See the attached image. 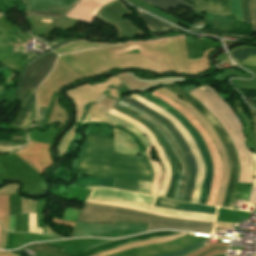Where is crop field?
<instances>
[{"label": "crop field", "mask_w": 256, "mask_h": 256, "mask_svg": "<svg viewBox=\"0 0 256 256\" xmlns=\"http://www.w3.org/2000/svg\"><path fill=\"white\" fill-rule=\"evenodd\" d=\"M80 174L116 178L114 187L150 192L153 171L147 156H130L114 153L113 140L88 135L83 153L76 163ZM107 187H91L85 202L125 207L165 216L215 221V215L171 210L153 206L157 196ZM84 203L78 221L112 222L115 220L149 223L148 230L174 228L202 233H211L213 223L177 219L139 212L130 209Z\"/></svg>", "instance_id": "1"}, {"label": "crop field", "mask_w": 256, "mask_h": 256, "mask_svg": "<svg viewBox=\"0 0 256 256\" xmlns=\"http://www.w3.org/2000/svg\"><path fill=\"white\" fill-rule=\"evenodd\" d=\"M167 89H169L173 93L177 94L178 96L182 97L183 99L188 101L190 104H192L208 120V122L216 131L217 135L222 140L231 164L230 180H229V184H228V188H227V192H226V196L223 204L224 207L229 208L232 197L235 192V187L238 179L237 156L231 142L229 141L225 131L220 126L218 121L208 112V110L200 102L195 100L193 97H191L187 93L183 92L178 86L168 87Z\"/></svg>", "instance_id": "2"}, {"label": "crop field", "mask_w": 256, "mask_h": 256, "mask_svg": "<svg viewBox=\"0 0 256 256\" xmlns=\"http://www.w3.org/2000/svg\"><path fill=\"white\" fill-rule=\"evenodd\" d=\"M148 225L116 221V224H82L76 223L72 237L97 236L120 238L145 232Z\"/></svg>", "instance_id": "3"}, {"label": "crop field", "mask_w": 256, "mask_h": 256, "mask_svg": "<svg viewBox=\"0 0 256 256\" xmlns=\"http://www.w3.org/2000/svg\"><path fill=\"white\" fill-rule=\"evenodd\" d=\"M158 91L163 93L167 97L177 101L178 103L183 105L185 108H187L197 118V120L203 125V127L208 131L209 135L214 141L222 159V180H221L215 205L222 206L228 179H229V162H228V158L226 156V152L221 140L216 135V133L214 132L210 124L207 122V120L193 106H191L189 103L185 101H182L180 98L177 97V95L173 94L172 92L168 91L165 88L158 89Z\"/></svg>", "instance_id": "4"}, {"label": "crop field", "mask_w": 256, "mask_h": 256, "mask_svg": "<svg viewBox=\"0 0 256 256\" xmlns=\"http://www.w3.org/2000/svg\"><path fill=\"white\" fill-rule=\"evenodd\" d=\"M121 100L151 114L152 116L157 118L159 121H161L173 133L174 137L178 141V143L186 157L187 168H188L187 184H186L184 198L182 201L190 202L192 194H193V190H194V181H195V177H196V173H197L196 161H195L191 151L189 150L187 144L185 143L184 139L182 138V136L179 134V132L177 131V129L175 128V126L173 124H171L168 120H166L164 117H162L155 111L149 109L148 107L144 106L143 104H141L131 98L127 99V98L123 97V98H121Z\"/></svg>", "instance_id": "5"}, {"label": "crop field", "mask_w": 256, "mask_h": 256, "mask_svg": "<svg viewBox=\"0 0 256 256\" xmlns=\"http://www.w3.org/2000/svg\"><path fill=\"white\" fill-rule=\"evenodd\" d=\"M132 98L136 99L137 101L143 103L144 105L148 106L149 108L155 110L165 118H167L170 122H172L180 134L183 136L185 139L186 143L188 144L190 150L192 151L196 161H197V169H198V174L195 182V190L193 194V198L191 202L198 203L199 197H200V192L202 188V182H203V177H204V172H205V165L203 163L201 154L192 138V136L189 134V132L186 130V128L176 119L174 118L171 114H169L166 110L160 108L159 106L149 102L148 100L136 95L132 94Z\"/></svg>", "instance_id": "6"}, {"label": "crop field", "mask_w": 256, "mask_h": 256, "mask_svg": "<svg viewBox=\"0 0 256 256\" xmlns=\"http://www.w3.org/2000/svg\"><path fill=\"white\" fill-rule=\"evenodd\" d=\"M139 95L150 100L151 102L159 105L160 107L166 109L167 111L171 112L172 114H174L176 116V118L188 129V131L193 136V138L202 154L203 160L206 164L204 183H203V188H202L201 197H200V201H199V203L205 204L207 196H208L209 188L211 185V181H212L213 165H212V160L209 156V153L204 145L202 138L200 137L198 132L190 125V123L182 115H180L176 110H174L171 106H169L167 103L157 99L156 97L152 96L149 93L139 94Z\"/></svg>", "instance_id": "7"}, {"label": "crop field", "mask_w": 256, "mask_h": 256, "mask_svg": "<svg viewBox=\"0 0 256 256\" xmlns=\"http://www.w3.org/2000/svg\"><path fill=\"white\" fill-rule=\"evenodd\" d=\"M126 13H132L129 11L126 6L119 0L111 3L110 5L100 9L97 14V17L101 18L105 22L114 25L118 29V37H125L129 35L142 34L144 31L134 24L131 23L128 19H121L120 15Z\"/></svg>", "instance_id": "8"}, {"label": "crop field", "mask_w": 256, "mask_h": 256, "mask_svg": "<svg viewBox=\"0 0 256 256\" xmlns=\"http://www.w3.org/2000/svg\"><path fill=\"white\" fill-rule=\"evenodd\" d=\"M175 233H178V232L177 231H161V232H153V233L135 235V236H131V237H128V238L118 240V241L113 242V243L108 244V245H104V246H101V247H98V248L88 250L86 252L78 253L76 255L64 252V251H62L63 247L56 246V245H53V244H31V245H28V246H30V247H32L36 250L42 251L44 253H47L49 255H52V256H69V255H73V256H91V255H93V254H95L99 251L106 250V249H109V248H113V247H116V246H119V245H122V244H125V243H129V242H133V241H137V240H142V239H147V238H152V237L171 235V234H175Z\"/></svg>", "instance_id": "9"}, {"label": "crop field", "mask_w": 256, "mask_h": 256, "mask_svg": "<svg viewBox=\"0 0 256 256\" xmlns=\"http://www.w3.org/2000/svg\"><path fill=\"white\" fill-rule=\"evenodd\" d=\"M54 58V53H50L28 66L21 81L19 100L23 101L45 78L52 68Z\"/></svg>", "instance_id": "10"}, {"label": "crop field", "mask_w": 256, "mask_h": 256, "mask_svg": "<svg viewBox=\"0 0 256 256\" xmlns=\"http://www.w3.org/2000/svg\"><path fill=\"white\" fill-rule=\"evenodd\" d=\"M113 109L121 112V113H124L130 117H132L133 119L141 122L142 124H144L146 127H148L152 133L155 135V137L159 140V142L161 143L163 149H164V152H165V155L168 159V161L170 162L171 166H172V176H171V181H170V185H169V189H168V192H167V196L168 198H174L175 194H176V189H177V183H178V177H179V173H180V169L178 167L177 164L178 161L174 155V153L172 152L169 144L167 143L166 139L164 138L163 134L153 125L151 124L150 122L144 120L143 118H141L140 116L138 115H135L121 107H119L118 105H114ZM176 167L178 168V172L176 171Z\"/></svg>", "instance_id": "11"}, {"label": "crop field", "mask_w": 256, "mask_h": 256, "mask_svg": "<svg viewBox=\"0 0 256 256\" xmlns=\"http://www.w3.org/2000/svg\"><path fill=\"white\" fill-rule=\"evenodd\" d=\"M116 104L127 108L133 112H138L139 115L143 116L145 119H147L148 121L152 122L165 136V138L167 139V141L169 142L170 146L172 147L180 165H181V169H182V173H181V177H180V182H179V186H178V191H177V195L175 197L176 200H182L183 198V194H184V189H185V184H186V176H187V168H186V162H185V157L177 143V141L175 140V138L172 136V134L157 120H155L154 118H152L151 116L147 115L146 113H144L143 111L119 100Z\"/></svg>", "instance_id": "12"}, {"label": "crop field", "mask_w": 256, "mask_h": 256, "mask_svg": "<svg viewBox=\"0 0 256 256\" xmlns=\"http://www.w3.org/2000/svg\"><path fill=\"white\" fill-rule=\"evenodd\" d=\"M78 0H22L29 14L62 18Z\"/></svg>", "instance_id": "13"}, {"label": "crop field", "mask_w": 256, "mask_h": 256, "mask_svg": "<svg viewBox=\"0 0 256 256\" xmlns=\"http://www.w3.org/2000/svg\"><path fill=\"white\" fill-rule=\"evenodd\" d=\"M109 113L136 125L145 134V136L149 138V140L152 143L153 148L155 149L159 159L161 160V162L164 166L163 181H162V185L160 187L158 195L165 197L166 192H167V188H168V185H169V181H170L171 170H170L169 163H168V161H167V159H166V157L163 153L162 147L157 143L156 139L154 138V136L150 132V130L147 129L145 126H143L141 123H139V122H137V121H135V120H133V119H131V118L115 111V110H113V109H111L109 111Z\"/></svg>", "instance_id": "14"}, {"label": "crop field", "mask_w": 256, "mask_h": 256, "mask_svg": "<svg viewBox=\"0 0 256 256\" xmlns=\"http://www.w3.org/2000/svg\"><path fill=\"white\" fill-rule=\"evenodd\" d=\"M112 1L114 0H80L67 17L92 23L96 12Z\"/></svg>", "instance_id": "15"}, {"label": "crop field", "mask_w": 256, "mask_h": 256, "mask_svg": "<svg viewBox=\"0 0 256 256\" xmlns=\"http://www.w3.org/2000/svg\"><path fill=\"white\" fill-rule=\"evenodd\" d=\"M243 10L247 21L252 22V29H256V0H242ZM241 0H230L232 14H236V20L245 21ZM246 21V22H247Z\"/></svg>", "instance_id": "16"}, {"label": "crop field", "mask_w": 256, "mask_h": 256, "mask_svg": "<svg viewBox=\"0 0 256 256\" xmlns=\"http://www.w3.org/2000/svg\"><path fill=\"white\" fill-rule=\"evenodd\" d=\"M196 12L231 15L229 0H196Z\"/></svg>", "instance_id": "17"}, {"label": "crop field", "mask_w": 256, "mask_h": 256, "mask_svg": "<svg viewBox=\"0 0 256 256\" xmlns=\"http://www.w3.org/2000/svg\"><path fill=\"white\" fill-rule=\"evenodd\" d=\"M155 205L165 207V208L197 211V212H205V213H213V214H215V210H216V207H213V206L179 203V202H175V201L160 198V197H158Z\"/></svg>", "instance_id": "18"}, {"label": "crop field", "mask_w": 256, "mask_h": 256, "mask_svg": "<svg viewBox=\"0 0 256 256\" xmlns=\"http://www.w3.org/2000/svg\"><path fill=\"white\" fill-rule=\"evenodd\" d=\"M137 17L140 21L148 28L150 32L154 30H165V29H176L177 27L172 26L168 23L153 18L139 10H136Z\"/></svg>", "instance_id": "19"}, {"label": "crop field", "mask_w": 256, "mask_h": 256, "mask_svg": "<svg viewBox=\"0 0 256 256\" xmlns=\"http://www.w3.org/2000/svg\"><path fill=\"white\" fill-rule=\"evenodd\" d=\"M232 56L248 57L249 54H256V50L250 48H239L231 52ZM233 57L237 63L242 65H255L256 55H250L249 58Z\"/></svg>", "instance_id": "20"}, {"label": "crop field", "mask_w": 256, "mask_h": 256, "mask_svg": "<svg viewBox=\"0 0 256 256\" xmlns=\"http://www.w3.org/2000/svg\"><path fill=\"white\" fill-rule=\"evenodd\" d=\"M34 103H35V90L20 105L21 109H20L13 124H15L17 126H22L29 110L34 105Z\"/></svg>", "instance_id": "21"}, {"label": "crop field", "mask_w": 256, "mask_h": 256, "mask_svg": "<svg viewBox=\"0 0 256 256\" xmlns=\"http://www.w3.org/2000/svg\"><path fill=\"white\" fill-rule=\"evenodd\" d=\"M152 6L165 11L169 6L177 8L178 4L194 10L195 8L183 2L182 0H142Z\"/></svg>", "instance_id": "22"}, {"label": "crop field", "mask_w": 256, "mask_h": 256, "mask_svg": "<svg viewBox=\"0 0 256 256\" xmlns=\"http://www.w3.org/2000/svg\"><path fill=\"white\" fill-rule=\"evenodd\" d=\"M115 179L88 177L81 178L76 185L108 186L113 187Z\"/></svg>", "instance_id": "23"}, {"label": "crop field", "mask_w": 256, "mask_h": 256, "mask_svg": "<svg viewBox=\"0 0 256 256\" xmlns=\"http://www.w3.org/2000/svg\"><path fill=\"white\" fill-rule=\"evenodd\" d=\"M204 245L205 244L202 241V242H200L198 244H195L193 246H190V247H188L186 249H183V250H180L178 252H174V253H170V254H165V255H159V256H182V255H186V254H188V253H190V252H192V251H194V250H196V249H198V248H200V247H202Z\"/></svg>", "instance_id": "24"}, {"label": "crop field", "mask_w": 256, "mask_h": 256, "mask_svg": "<svg viewBox=\"0 0 256 256\" xmlns=\"http://www.w3.org/2000/svg\"><path fill=\"white\" fill-rule=\"evenodd\" d=\"M29 232L42 234V228H36L35 213L29 214Z\"/></svg>", "instance_id": "25"}, {"label": "crop field", "mask_w": 256, "mask_h": 256, "mask_svg": "<svg viewBox=\"0 0 256 256\" xmlns=\"http://www.w3.org/2000/svg\"><path fill=\"white\" fill-rule=\"evenodd\" d=\"M36 113H37V109H36V104L32 107L26 121L24 122L23 126L22 127H28V126H31L35 116H36Z\"/></svg>", "instance_id": "26"}, {"label": "crop field", "mask_w": 256, "mask_h": 256, "mask_svg": "<svg viewBox=\"0 0 256 256\" xmlns=\"http://www.w3.org/2000/svg\"><path fill=\"white\" fill-rule=\"evenodd\" d=\"M23 145L24 144L0 140V147L1 148H16V147H20V146H23Z\"/></svg>", "instance_id": "27"}, {"label": "crop field", "mask_w": 256, "mask_h": 256, "mask_svg": "<svg viewBox=\"0 0 256 256\" xmlns=\"http://www.w3.org/2000/svg\"><path fill=\"white\" fill-rule=\"evenodd\" d=\"M46 110H47L46 108H41L40 109L39 115H38V120H37V122H36V124L34 126H37V127L40 126V124L42 122V119H43V117L45 115Z\"/></svg>", "instance_id": "28"}, {"label": "crop field", "mask_w": 256, "mask_h": 256, "mask_svg": "<svg viewBox=\"0 0 256 256\" xmlns=\"http://www.w3.org/2000/svg\"><path fill=\"white\" fill-rule=\"evenodd\" d=\"M44 234L62 237V236L56 234L55 232H53L47 225H45Z\"/></svg>", "instance_id": "29"}, {"label": "crop field", "mask_w": 256, "mask_h": 256, "mask_svg": "<svg viewBox=\"0 0 256 256\" xmlns=\"http://www.w3.org/2000/svg\"><path fill=\"white\" fill-rule=\"evenodd\" d=\"M204 27V23L203 22H193L191 28H203Z\"/></svg>", "instance_id": "30"}, {"label": "crop field", "mask_w": 256, "mask_h": 256, "mask_svg": "<svg viewBox=\"0 0 256 256\" xmlns=\"http://www.w3.org/2000/svg\"><path fill=\"white\" fill-rule=\"evenodd\" d=\"M111 241H115V240H106V241H102V242H99V243H96V244H93L91 245L90 247H88L87 249H90L92 247H95V246H98V245H102V244H105V243H108V242H111ZM86 249V250H87Z\"/></svg>", "instance_id": "31"}, {"label": "crop field", "mask_w": 256, "mask_h": 256, "mask_svg": "<svg viewBox=\"0 0 256 256\" xmlns=\"http://www.w3.org/2000/svg\"><path fill=\"white\" fill-rule=\"evenodd\" d=\"M184 1H186V2H188V3H190V4L195 6V0H184Z\"/></svg>", "instance_id": "32"}, {"label": "crop field", "mask_w": 256, "mask_h": 256, "mask_svg": "<svg viewBox=\"0 0 256 256\" xmlns=\"http://www.w3.org/2000/svg\"><path fill=\"white\" fill-rule=\"evenodd\" d=\"M18 150V149H16ZM16 150H0V153H4V152H13V151H16Z\"/></svg>", "instance_id": "33"}, {"label": "crop field", "mask_w": 256, "mask_h": 256, "mask_svg": "<svg viewBox=\"0 0 256 256\" xmlns=\"http://www.w3.org/2000/svg\"><path fill=\"white\" fill-rule=\"evenodd\" d=\"M219 256H222V255H219Z\"/></svg>", "instance_id": "34"}]
</instances>
